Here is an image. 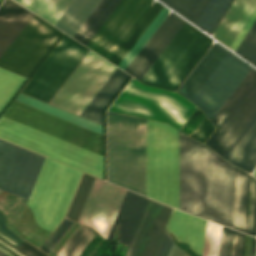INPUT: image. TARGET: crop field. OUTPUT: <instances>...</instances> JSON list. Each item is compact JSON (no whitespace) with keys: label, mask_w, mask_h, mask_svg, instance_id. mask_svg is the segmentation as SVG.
I'll use <instances>...</instances> for the list:
<instances>
[{"label":"crop field","mask_w":256,"mask_h":256,"mask_svg":"<svg viewBox=\"0 0 256 256\" xmlns=\"http://www.w3.org/2000/svg\"><path fill=\"white\" fill-rule=\"evenodd\" d=\"M234 167L179 132V209L233 228Z\"/></svg>","instance_id":"obj_1"},{"label":"crop field","mask_w":256,"mask_h":256,"mask_svg":"<svg viewBox=\"0 0 256 256\" xmlns=\"http://www.w3.org/2000/svg\"><path fill=\"white\" fill-rule=\"evenodd\" d=\"M31 14L11 0L2 3L0 55ZM61 34V31L32 14L0 56V67L28 78Z\"/></svg>","instance_id":"obj_2"},{"label":"crop field","mask_w":256,"mask_h":256,"mask_svg":"<svg viewBox=\"0 0 256 256\" xmlns=\"http://www.w3.org/2000/svg\"><path fill=\"white\" fill-rule=\"evenodd\" d=\"M251 68L214 44L177 91L211 120Z\"/></svg>","instance_id":"obj_3"},{"label":"crop field","mask_w":256,"mask_h":256,"mask_svg":"<svg viewBox=\"0 0 256 256\" xmlns=\"http://www.w3.org/2000/svg\"><path fill=\"white\" fill-rule=\"evenodd\" d=\"M108 180L145 196V120L108 112Z\"/></svg>","instance_id":"obj_4"},{"label":"crop field","mask_w":256,"mask_h":256,"mask_svg":"<svg viewBox=\"0 0 256 256\" xmlns=\"http://www.w3.org/2000/svg\"><path fill=\"white\" fill-rule=\"evenodd\" d=\"M146 196L178 209V130L148 120Z\"/></svg>","instance_id":"obj_5"},{"label":"crop field","mask_w":256,"mask_h":256,"mask_svg":"<svg viewBox=\"0 0 256 256\" xmlns=\"http://www.w3.org/2000/svg\"><path fill=\"white\" fill-rule=\"evenodd\" d=\"M81 175L76 169L45 159L27 202L38 225L55 229L66 214Z\"/></svg>","instance_id":"obj_6"},{"label":"crop field","mask_w":256,"mask_h":256,"mask_svg":"<svg viewBox=\"0 0 256 256\" xmlns=\"http://www.w3.org/2000/svg\"><path fill=\"white\" fill-rule=\"evenodd\" d=\"M211 41L185 22L140 81L176 90L208 49Z\"/></svg>","instance_id":"obj_7"},{"label":"crop field","mask_w":256,"mask_h":256,"mask_svg":"<svg viewBox=\"0 0 256 256\" xmlns=\"http://www.w3.org/2000/svg\"><path fill=\"white\" fill-rule=\"evenodd\" d=\"M195 108L177 93L132 79L108 110L165 122L179 129Z\"/></svg>","instance_id":"obj_8"},{"label":"crop field","mask_w":256,"mask_h":256,"mask_svg":"<svg viewBox=\"0 0 256 256\" xmlns=\"http://www.w3.org/2000/svg\"><path fill=\"white\" fill-rule=\"evenodd\" d=\"M0 138L103 179V157L48 134L0 117Z\"/></svg>","instance_id":"obj_9"},{"label":"crop field","mask_w":256,"mask_h":256,"mask_svg":"<svg viewBox=\"0 0 256 256\" xmlns=\"http://www.w3.org/2000/svg\"><path fill=\"white\" fill-rule=\"evenodd\" d=\"M255 113L256 70L252 68L211 120L218 128L206 145L222 157Z\"/></svg>","instance_id":"obj_10"},{"label":"crop field","mask_w":256,"mask_h":256,"mask_svg":"<svg viewBox=\"0 0 256 256\" xmlns=\"http://www.w3.org/2000/svg\"><path fill=\"white\" fill-rule=\"evenodd\" d=\"M88 51L64 34L21 92L49 103Z\"/></svg>","instance_id":"obj_11"},{"label":"crop field","mask_w":256,"mask_h":256,"mask_svg":"<svg viewBox=\"0 0 256 256\" xmlns=\"http://www.w3.org/2000/svg\"><path fill=\"white\" fill-rule=\"evenodd\" d=\"M90 51L50 104L79 115L114 71L116 67Z\"/></svg>","instance_id":"obj_12"},{"label":"crop field","mask_w":256,"mask_h":256,"mask_svg":"<svg viewBox=\"0 0 256 256\" xmlns=\"http://www.w3.org/2000/svg\"><path fill=\"white\" fill-rule=\"evenodd\" d=\"M3 116L103 156V136L13 100Z\"/></svg>","instance_id":"obj_13"},{"label":"crop field","mask_w":256,"mask_h":256,"mask_svg":"<svg viewBox=\"0 0 256 256\" xmlns=\"http://www.w3.org/2000/svg\"><path fill=\"white\" fill-rule=\"evenodd\" d=\"M44 159L0 139V188L27 202Z\"/></svg>","instance_id":"obj_14"},{"label":"crop field","mask_w":256,"mask_h":256,"mask_svg":"<svg viewBox=\"0 0 256 256\" xmlns=\"http://www.w3.org/2000/svg\"><path fill=\"white\" fill-rule=\"evenodd\" d=\"M152 0H122L86 47L110 59Z\"/></svg>","instance_id":"obj_15"},{"label":"crop field","mask_w":256,"mask_h":256,"mask_svg":"<svg viewBox=\"0 0 256 256\" xmlns=\"http://www.w3.org/2000/svg\"><path fill=\"white\" fill-rule=\"evenodd\" d=\"M125 192L96 178L78 222L107 238Z\"/></svg>","instance_id":"obj_16"},{"label":"crop field","mask_w":256,"mask_h":256,"mask_svg":"<svg viewBox=\"0 0 256 256\" xmlns=\"http://www.w3.org/2000/svg\"><path fill=\"white\" fill-rule=\"evenodd\" d=\"M170 208L148 200L125 256H158L167 235L163 228Z\"/></svg>","instance_id":"obj_17"},{"label":"crop field","mask_w":256,"mask_h":256,"mask_svg":"<svg viewBox=\"0 0 256 256\" xmlns=\"http://www.w3.org/2000/svg\"><path fill=\"white\" fill-rule=\"evenodd\" d=\"M184 22L171 12L125 71L140 80Z\"/></svg>","instance_id":"obj_18"},{"label":"crop field","mask_w":256,"mask_h":256,"mask_svg":"<svg viewBox=\"0 0 256 256\" xmlns=\"http://www.w3.org/2000/svg\"><path fill=\"white\" fill-rule=\"evenodd\" d=\"M250 175L235 168V229L256 236V179L250 182V219L248 227V202Z\"/></svg>","instance_id":"obj_19"},{"label":"crop field","mask_w":256,"mask_h":256,"mask_svg":"<svg viewBox=\"0 0 256 256\" xmlns=\"http://www.w3.org/2000/svg\"><path fill=\"white\" fill-rule=\"evenodd\" d=\"M206 221L174 209L166 228L202 256Z\"/></svg>","instance_id":"obj_20"},{"label":"crop field","mask_w":256,"mask_h":256,"mask_svg":"<svg viewBox=\"0 0 256 256\" xmlns=\"http://www.w3.org/2000/svg\"><path fill=\"white\" fill-rule=\"evenodd\" d=\"M147 198L127 192L107 240L114 241V232L120 223L118 242L129 245Z\"/></svg>","instance_id":"obj_21"},{"label":"crop field","mask_w":256,"mask_h":256,"mask_svg":"<svg viewBox=\"0 0 256 256\" xmlns=\"http://www.w3.org/2000/svg\"><path fill=\"white\" fill-rule=\"evenodd\" d=\"M256 0H235L214 32V38L229 47L254 7Z\"/></svg>","instance_id":"obj_22"},{"label":"crop field","mask_w":256,"mask_h":256,"mask_svg":"<svg viewBox=\"0 0 256 256\" xmlns=\"http://www.w3.org/2000/svg\"><path fill=\"white\" fill-rule=\"evenodd\" d=\"M255 118H256V114L252 118V120L248 123V125L245 127V129L241 132V134L238 136V138L234 141V143L231 145V147L227 150V152L224 154V156L222 157L225 160H227L226 158H228L230 161L240 165L241 167H243L251 172L256 167V120H255ZM252 122H253V124H252ZM249 126H250V128H249ZM245 131H246V133H245ZM242 135H243V137L241 138ZM238 140H239V142H238ZM234 145H235V147H234ZM231 149H232V151L230 152ZM227 154H228V156H227ZM229 160H227V161L230 162ZM232 162H230V163H232ZM234 163H232V164H234ZM236 164H234V165H236ZM238 165H236V166H238ZM240 166H238V167L241 168ZM243 168H241V169H243ZM245 169H243V170H245ZM247 170H245V171H247ZM249 171H247V172H249ZM251 172H249V173H251Z\"/></svg>","instance_id":"obj_23"},{"label":"crop field","mask_w":256,"mask_h":256,"mask_svg":"<svg viewBox=\"0 0 256 256\" xmlns=\"http://www.w3.org/2000/svg\"><path fill=\"white\" fill-rule=\"evenodd\" d=\"M129 77L116 68L103 87L81 112L80 116L103 125V110Z\"/></svg>","instance_id":"obj_24"},{"label":"crop field","mask_w":256,"mask_h":256,"mask_svg":"<svg viewBox=\"0 0 256 256\" xmlns=\"http://www.w3.org/2000/svg\"><path fill=\"white\" fill-rule=\"evenodd\" d=\"M100 1L74 0L54 26L73 37Z\"/></svg>","instance_id":"obj_25"},{"label":"crop field","mask_w":256,"mask_h":256,"mask_svg":"<svg viewBox=\"0 0 256 256\" xmlns=\"http://www.w3.org/2000/svg\"><path fill=\"white\" fill-rule=\"evenodd\" d=\"M120 1L102 0L73 38L86 46Z\"/></svg>","instance_id":"obj_26"},{"label":"crop field","mask_w":256,"mask_h":256,"mask_svg":"<svg viewBox=\"0 0 256 256\" xmlns=\"http://www.w3.org/2000/svg\"><path fill=\"white\" fill-rule=\"evenodd\" d=\"M163 7L157 2L150 6L109 61L118 66Z\"/></svg>","instance_id":"obj_27"},{"label":"crop field","mask_w":256,"mask_h":256,"mask_svg":"<svg viewBox=\"0 0 256 256\" xmlns=\"http://www.w3.org/2000/svg\"><path fill=\"white\" fill-rule=\"evenodd\" d=\"M51 24L59 19L73 0H16Z\"/></svg>","instance_id":"obj_28"},{"label":"crop field","mask_w":256,"mask_h":256,"mask_svg":"<svg viewBox=\"0 0 256 256\" xmlns=\"http://www.w3.org/2000/svg\"><path fill=\"white\" fill-rule=\"evenodd\" d=\"M15 100L20 101L22 103H25L27 105H30L32 107H35L37 109H40L42 111H45L47 113H50L52 115H55L57 117H60L62 119H65L67 121H70L72 123H75L77 125H80L82 127H85L87 129H90L92 131H95V132L103 135V127L102 126L92 123L90 121H87L85 119H82L78 116H75V115L65 112L63 110H60L58 108H55L53 106H50L48 104H45L43 102H40L36 99H33V98L23 95L21 93H19L17 95Z\"/></svg>","instance_id":"obj_29"},{"label":"crop field","mask_w":256,"mask_h":256,"mask_svg":"<svg viewBox=\"0 0 256 256\" xmlns=\"http://www.w3.org/2000/svg\"><path fill=\"white\" fill-rule=\"evenodd\" d=\"M97 233L81 225L56 256H79Z\"/></svg>","instance_id":"obj_30"},{"label":"crop field","mask_w":256,"mask_h":256,"mask_svg":"<svg viewBox=\"0 0 256 256\" xmlns=\"http://www.w3.org/2000/svg\"><path fill=\"white\" fill-rule=\"evenodd\" d=\"M25 81L22 77L0 69V113Z\"/></svg>","instance_id":"obj_31"},{"label":"crop field","mask_w":256,"mask_h":256,"mask_svg":"<svg viewBox=\"0 0 256 256\" xmlns=\"http://www.w3.org/2000/svg\"><path fill=\"white\" fill-rule=\"evenodd\" d=\"M94 179V177H91L89 175H83L78 189L75 193V196L72 200V203L69 207V210L66 214L67 218L76 222L78 221Z\"/></svg>","instance_id":"obj_32"},{"label":"crop field","mask_w":256,"mask_h":256,"mask_svg":"<svg viewBox=\"0 0 256 256\" xmlns=\"http://www.w3.org/2000/svg\"><path fill=\"white\" fill-rule=\"evenodd\" d=\"M195 23L209 0H161ZM175 10V11H176ZM178 12V13H179ZM185 17V18H186Z\"/></svg>","instance_id":"obj_33"},{"label":"crop field","mask_w":256,"mask_h":256,"mask_svg":"<svg viewBox=\"0 0 256 256\" xmlns=\"http://www.w3.org/2000/svg\"><path fill=\"white\" fill-rule=\"evenodd\" d=\"M233 232H234V238H233V247H232L231 256H242L244 234L235 232L233 230H230L224 227H222V231H221L219 256L230 255Z\"/></svg>","instance_id":"obj_34"},{"label":"crop field","mask_w":256,"mask_h":256,"mask_svg":"<svg viewBox=\"0 0 256 256\" xmlns=\"http://www.w3.org/2000/svg\"><path fill=\"white\" fill-rule=\"evenodd\" d=\"M228 2L229 0H210L195 24L209 33Z\"/></svg>","instance_id":"obj_35"},{"label":"crop field","mask_w":256,"mask_h":256,"mask_svg":"<svg viewBox=\"0 0 256 256\" xmlns=\"http://www.w3.org/2000/svg\"><path fill=\"white\" fill-rule=\"evenodd\" d=\"M168 12H169V10L164 7L163 10L160 12V14L152 22V24L149 26V28L145 31V33L138 40V42L134 45V47L127 54V56L123 59V61L120 63V65L118 67H120L124 70L126 69V67L129 65V63L133 60V58L137 55V53L144 46V44L147 42V40L151 37V35L154 33V31L158 28V26L165 19Z\"/></svg>","instance_id":"obj_36"},{"label":"crop field","mask_w":256,"mask_h":256,"mask_svg":"<svg viewBox=\"0 0 256 256\" xmlns=\"http://www.w3.org/2000/svg\"><path fill=\"white\" fill-rule=\"evenodd\" d=\"M235 52L256 66V20Z\"/></svg>","instance_id":"obj_37"},{"label":"crop field","mask_w":256,"mask_h":256,"mask_svg":"<svg viewBox=\"0 0 256 256\" xmlns=\"http://www.w3.org/2000/svg\"><path fill=\"white\" fill-rule=\"evenodd\" d=\"M220 230V225L207 221L204 256L218 255Z\"/></svg>","instance_id":"obj_38"},{"label":"crop field","mask_w":256,"mask_h":256,"mask_svg":"<svg viewBox=\"0 0 256 256\" xmlns=\"http://www.w3.org/2000/svg\"><path fill=\"white\" fill-rule=\"evenodd\" d=\"M72 224L73 222L64 218L40 249L48 254Z\"/></svg>","instance_id":"obj_39"},{"label":"crop field","mask_w":256,"mask_h":256,"mask_svg":"<svg viewBox=\"0 0 256 256\" xmlns=\"http://www.w3.org/2000/svg\"><path fill=\"white\" fill-rule=\"evenodd\" d=\"M0 243L6 246L7 248L11 249L12 251H14L20 256H47L42 252L38 251L37 249H35L30 244L26 243L25 241H22L20 244H18L15 247L0 237Z\"/></svg>","instance_id":"obj_40"},{"label":"crop field","mask_w":256,"mask_h":256,"mask_svg":"<svg viewBox=\"0 0 256 256\" xmlns=\"http://www.w3.org/2000/svg\"><path fill=\"white\" fill-rule=\"evenodd\" d=\"M214 129L215 127L205 117L198 128L190 136L204 143Z\"/></svg>","instance_id":"obj_41"},{"label":"crop field","mask_w":256,"mask_h":256,"mask_svg":"<svg viewBox=\"0 0 256 256\" xmlns=\"http://www.w3.org/2000/svg\"><path fill=\"white\" fill-rule=\"evenodd\" d=\"M0 236L13 245H17L22 239L17 236L7 225L5 217L0 213Z\"/></svg>","instance_id":"obj_42"},{"label":"crop field","mask_w":256,"mask_h":256,"mask_svg":"<svg viewBox=\"0 0 256 256\" xmlns=\"http://www.w3.org/2000/svg\"><path fill=\"white\" fill-rule=\"evenodd\" d=\"M255 18H256V8L254 9V11L252 12V14L250 15V17L248 18V20L246 21V23L242 27L241 31L239 32V34L237 35V37L235 38V40L233 41V43L231 44V46L229 48H232L235 51V49L239 45L240 41L242 40V38L244 37V35L246 34L248 29L252 25Z\"/></svg>","instance_id":"obj_43"},{"label":"crop field","mask_w":256,"mask_h":256,"mask_svg":"<svg viewBox=\"0 0 256 256\" xmlns=\"http://www.w3.org/2000/svg\"><path fill=\"white\" fill-rule=\"evenodd\" d=\"M173 242L172 240L170 239V237L167 235L166 239H165V242L163 244V247L160 251V254L159 256H168V253L171 249V246H172Z\"/></svg>","instance_id":"obj_44"},{"label":"crop field","mask_w":256,"mask_h":256,"mask_svg":"<svg viewBox=\"0 0 256 256\" xmlns=\"http://www.w3.org/2000/svg\"><path fill=\"white\" fill-rule=\"evenodd\" d=\"M169 256H187L184 254L178 247H176L174 244L172 246V249L169 253Z\"/></svg>","instance_id":"obj_45"},{"label":"crop field","mask_w":256,"mask_h":256,"mask_svg":"<svg viewBox=\"0 0 256 256\" xmlns=\"http://www.w3.org/2000/svg\"><path fill=\"white\" fill-rule=\"evenodd\" d=\"M234 0H230L229 4L227 5V7L225 8V10L223 11V13L221 14V16L219 17V19L217 20L216 24L214 25V27L212 28V30L210 31V34L212 32H214V30L216 29V27L218 26L219 22L221 21V19L223 18V16L225 15V13L227 12V10L229 9V7L231 6L232 2Z\"/></svg>","instance_id":"obj_46"},{"label":"crop field","mask_w":256,"mask_h":256,"mask_svg":"<svg viewBox=\"0 0 256 256\" xmlns=\"http://www.w3.org/2000/svg\"><path fill=\"white\" fill-rule=\"evenodd\" d=\"M0 250L6 252L8 255L10 256H17L14 253H12L11 251H9L8 249L4 248L3 246L0 245Z\"/></svg>","instance_id":"obj_47"},{"label":"crop field","mask_w":256,"mask_h":256,"mask_svg":"<svg viewBox=\"0 0 256 256\" xmlns=\"http://www.w3.org/2000/svg\"><path fill=\"white\" fill-rule=\"evenodd\" d=\"M255 243H256V239L253 238V240H252V247H251V255L250 256H254Z\"/></svg>","instance_id":"obj_48"},{"label":"crop field","mask_w":256,"mask_h":256,"mask_svg":"<svg viewBox=\"0 0 256 256\" xmlns=\"http://www.w3.org/2000/svg\"><path fill=\"white\" fill-rule=\"evenodd\" d=\"M0 256H7L6 254H4V253H2V252H0Z\"/></svg>","instance_id":"obj_49"},{"label":"crop field","mask_w":256,"mask_h":256,"mask_svg":"<svg viewBox=\"0 0 256 256\" xmlns=\"http://www.w3.org/2000/svg\"><path fill=\"white\" fill-rule=\"evenodd\" d=\"M253 174L256 176V170H255V172Z\"/></svg>","instance_id":"obj_50"}]
</instances>
